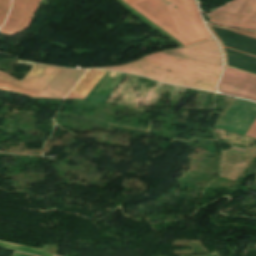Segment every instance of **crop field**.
Returning a JSON list of instances; mask_svg holds the SVG:
<instances>
[{"label": "crop field", "instance_id": "obj_11", "mask_svg": "<svg viewBox=\"0 0 256 256\" xmlns=\"http://www.w3.org/2000/svg\"><path fill=\"white\" fill-rule=\"evenodd\" d=\"M207 25L209 26V28L211 29V31L213 32V34L216 36V38L219 40L220 42V45H221V48H222V51H223V54H224V60H225V65H226V54H225V51H224V48L221 44V41L220 39L218 38V36L215 34V32L212 30L211 26L207 23ZM230 30H233V29H230ZM233 31H236V32H239V33H242V34H245V35H248V36H251V37H254L256 38V32H246V31H241V30H233Z\"/></svg>", "mask_w": 256, "mask_h": 256}, {"label": "crop field", "instance_id": "obj_9", "mask_svg": "<svg viewBox=\"0 0 256 256\" xmlns=\"http://www.w3.org/2000/svg\"><path fill=\"white\" fill-rule=\"evenodd\" d=\"M0 247L13 249V250H17V251H22V252H26V253L38 254V255H42V256H52V255L45 253L38 249L21 246V245H17V244H12V243L1 242V241H0Z\"/></svg>", "mask_w": 256, "mask_h": 256}, {"label": "crop field", "instance_id": "obj_12", "mask_svg": "<svg viewBox=\"0 0 256 256\" xmlns=\"http://www.w3.org/2000/svg\"><path fill=\"white\" fill-rule=\"evenodd\" d=\"M246 135L256 138V120L253 122V124L248 129V131L246 132Z\"/></svg>", "mask_w": 256, "mask_h": 256}, {"label": "crop field", "instance_id": "obj_8", "mask_svg": "<svg viewBox=\"0 0 256 256\" xmlns=\"http://www.w3.org/2000/svg\"><path fill=\"white\" fill-rule=\"evenodd\" d=\"M105 72L106 71L98 69L88 70L66 98L84 99Z\"/></svg>", "mask_w": 256, "mask_h": 256}, {"label": "crop field", "instance_id": "obj_13", "mask_svg": "<svg viewBox=\"0 0 256 256\" xmlns=\"http://www.w3.org/2000/svg\"><path fill=\"white\" fill-rule=\"evenodd\" d=\"M13 256H29V255H24V254H20V253H14Z\"/></svg>", "mask_w": 256, "mask_h": 256}, {"label": "crop field", "instance_id": "obj_3", "mask_svg": "<svg viewBox=\"0 0 256 256\" xmlns=\"http://www.w3.org/2000/svg\"><path fill=\"white\" fill-rule=\"evenodd\" d=\"M30 64L33 66L31 71L21 81L0 72V89L37 97L59 68Z\"/></svg>", "mask_w": 256, "mask_h": 256}, {"label": "crop field", "instance_id": "obj_2", "mask_svg": "<svg viewBox=\"0 0 256 256\" xmlns=\"http://www.w3.org/2000/svg\"><path fill=\"white\" fill-rule=\"evenodd\" d=\"M128 5L177 38L184 46L212 38L193 0H134Z\"/></svg>", "mask_w": 256, "mask_h": 256}, {"label": "crop field", "instance_id": "obj_1", "mask_svg": "<svg viewBox=\"0 0 256 256\" xmlns=\"http://www.w3.org/2000/svg\"><path fill=\"white\" fill-rule=\"evenodd\" d=\"M125 71L180 86L215 90L221 60L214 39L183 49L150 54L134 63L101 68Z\"/></svg>", "mask_w": 256, "mask_h": 256}, {"label": "crop field", "instance_id": "obj_10", "mask_svg": "<svg viewBox=\"0 0 256 256\" xmlns=\"http://www.w3.org/2000/svg\"><path fill=\"white\" fill-rule=\"evenodd\" d=\"M9 3L10 0H0V25L7 15Z\"/></svg>", "mask_w": 256, "mask_h": 256}, {"label": "crop field", "instance_id": "obj_7", "mask_svg": "<svg viewBox=\"0 0 256 256\" xmlns=\"http://www.w3.org/2000/svg\"><path fill=\"white\" fill-rule=\"evenodd\" d=\"M85 71L60 68L38 97L63 99Z\"/></svg>", "mask_w": 256, "mask_h": 256}, {"label": "crop field", "instance_id": "obj_5", "mask_svg": "<svg viewBox=\"0 0 256 256\" xmlns=\"http://www.w3.org/2000/svg\"><path fill=\"white\" fill-rule=\"evenodd\" d=\"M219 91L256 101V77L225 67Z\"/></svg>", "mask_w": 256, "mask_h": 256}, {"label": "crop field", "instance_id": "obj_4", "mask_svg": "<svg viewBox=\"0 0 256 256\" xmlns=\"http://www.w3.org/2000/svg\"><path fill=\"white\" fill-rule=\"evenodd\" d=\"M210 16L215 24L256 29V0H234Z\"/></svg>", "mask_w": 256, "mask_h": 256}, {"label": "crop field", "instance_id": "obj_14", "mask_svg": "<svg viewBox=\"0 0 256 256\" xmlns=\"http://www.w3.org/2000/svg\"><path fill=\"white\" fill-rule=\"evenodd\" d=\"M123 1H125L126 3H128V2H130V1H132V0H123Z\"/></svg>", "mask_w": 256, "mask_h": 256}, {"label": "crop field", "instance_id": "obj_6", "mask_svg": "<svg viewBox=\"0 0 256 256\" xmlns=\"http://www.w3.org/2000/svg\"><path fill=\"white\" fill-rule=\"evenodd\" d=\"M40 0H14L9 17L0 30L8 36H13L26 30Z\"/></svg>", "mask_w": 256, "mask_h": 256}]
</instances>
